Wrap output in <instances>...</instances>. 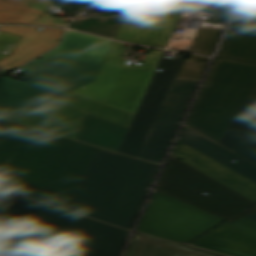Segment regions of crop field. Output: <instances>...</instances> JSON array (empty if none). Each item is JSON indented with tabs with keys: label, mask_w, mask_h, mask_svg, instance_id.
<instances>
[{
	"label": "crop field",
	"mask_w": 256,
	"mask_h": 256,
	"mask_svg": "<svg viewBox=\"0 0 256 256\" xmlns=\"http://www.w3.org/2000/svg\"><path fill=\"white\" fill-rule=\"evenodd\" d=\"M93 150L1 122L0 188L18 194L28 191L27 197L66 209Z\"/></svg>",
	"instance_id": "8a807250"
},
{
	"label": "crop field",
	"mask_w": 256,
	"mask_h": 256,
	"mask_svg": "<svg viewBox=\"0 0 256 256\" xmlns=\"http://www.w3.org/2000/svg\"><path fill=\"white\" fill-rule=\"evenodd\" d=\"M129 232L17 196L0 256H118Z\"/></svg>",
	"instance_id": "ac0d7876"
},
{
	"label": "crop field",
	"mask_w": 256,
	"mask_h": 256,
	"mask_svg": "<svg viewBox=\"0 0 256 256\" xmlns=\"http://www.w3.org/2000/svg\"><path fill=\"white\" fill-rule=\"evenodd\" d=\"M112 41L67 30L59 47L22 69L23 83L0 79V119L95 81Z\"/></svg>",
	"instance_id": "34b2d1b8"
},
{
	"label": "crop field",
	"mask_w": 256,
	"mask_h": 256,
	"mask_svg": "<svg viewBox=\"0 0 256 256\" xmlns=\"http://www.w3.org/2000/svg\"><path fill=\"white\" fill-rule=\"evenodd\" d=\"M157 167L104 150L95 152L67 209L130 229Z\"/></svg>",
	"instance_id": "412701ff"
},
{
	"label": "crop field",
	"mask_w": 256,
	"mask_h": 256,
	"mask_svg": "<svg viewBox=\"0 0 256 256\" xmlns=\"http://www.w3.org/2000/svg\"><path fill=\"white\" fill-rule=\"evenodd\" d=\"M256 84V64L216 58L185 125L218 142Z\"/></svg>",
	"instance_id": "f4fd0767"
},
{
	"label": "crop field",
	"mask_w": 256,
	"mask_h": 256,
	"mask_svg": "<svg viewBox=\"0 0 256 256\" xmlns=\"http://www.w3.org/2000/svg\"><path fill=\"white\" fill-rule=\"evenodd\" d=\"M126 48L113 42L95 82L70 93L135 114L164 51L153 50L142 67L126 66Z\"/></svg>",
	"instance_id": "dd49c442"
},
{
	"label": "crop field",
	"mask_w": 256,
	"mask_h": 256,
	"mask_svg": "<svg viewBox=\"0 0 256 256\" xmlns=\"http://www.w3.org/2000/svg\"><path fill=\"white\" fill-rule=\"evenodd\" d=\"M86 112L127 127L134 116L67 93L2 120L74 140Z\"/></svg>",
	"instance_id": "e52e79f7"
},
{
	"label": "crop field",
	"mask_w": 256,
	"mask_h": 256,
	"mask_svg": "<svg viewBox=\"0 0 256 256\" xmlns=\"http://www.w3.org/2000/svg\"><path fill=\"white\" fill-rule=\"evenodd\" d=\"M156 190L224 219L255 204L174 156Z\"/></svg>",
	"instance_id": "d8731c3e"
},
{
	"label": "crop field",
	"mask_w": 256,
	"mask_h": 256,
	"mask_svg": "<svg viewBox=\"0 0 256 256\" xmlns=\"http://www.w3.org/2000/svg\"><path fill=\"white\" fill-rule=\"evenodd\" d=\"M221 221L220 218L155 191L139 231L186 243Z\"/></svg>",
	"instance_id": "5a996713"
},
{
	"label": "crop field",
	"mask_w": 256,
	"mask_h": 256,
	"mask_svg": "<svg viewBox=\"0 0 256 256\" xmlns=\"http://www.w3.org/2000/svg\"><path fill=\"white\" fill-rule=\"evenodd\" d=\"M186 55L180 53L173 59L161 58L157 68L163 69V72H155L118 152L140 157Z\"/></svg>",
	"instance_id": "3316defc"
},
{
	"label": "crop field",
	"mask_w": 256,
	"mask_h": 256,
	"mask_svg": "<svg viewBox=\"0 0 256 256\" xmlns=\"http://www.w3.org/2000/svg\"><path fill=\"white\" fill-rule=\"evenodd\" d=\"M197 84L176 80L140 158L162 162Z\"/></svg>",
	"instance_id": "28ad6ade"
},
{
	"label": "crop field",
	"mask_w": 256,
	"mask_h": 256,
	"mask_svg": "<svg viewBox=\"0 0 256 256\" xmlns=\"http://www.w3.org/2000/svg\"><path fill=\"white\" fill-rule=\"evenodd\" d=\"M184 7L152 10L151 16L122 23L115 38L165 48Z\"/></svg>",
	"instance_id": "d1516ede"
},
{
	"label": "crop field",
	"mask_w": 256,
	"mask_h": 256,
	"mask_svg": "<svg viewBox=\"0 0 256 256\" xmlns=\"http://www.w3.org/2000/svg\"><path fill=\"white\" fill-rule=\"evenodd\" d=\"M217 57L256 62V0H243Z\"/></svg>",
	"instance_id": "22f410ed"
},
{
	"label": "crop field",
	"mask_w": 256,
	"mask_h": 256,
	"mask_svg": "<svg viewBox=\"0 0 256 256\" xmlns=\"http://www.w3.org/2000/svg\"><path fill=\"white\" fill-rule=\"evenodd\" d=\"M172 155L256 203V183L178 139Z\"/></svg>",
	"instance_id": "cbeb9de0"
},
{
	"label": "crop field",
	"mask_w": 256,
	"mask_h": 256,
	"mask_svg": "<svg viewBox=\"0 0 256 256\" xmlns=\"http://www.w3.org/2000/svg\"><path fill=\"white\" fill-rule=\"evenodd\" d=\"M37 30L34 27L2 26L0 31L23 37L13 54L0 60V78L7 74L4 70L19 67L56 47L64 31L51 28H45L42 32Z\"/></svg>",
	"instance_id": "5142ce71"
},
{
	"label": "crop field",
	"mask_w": 256,
	"mask_h": 256,
	"mask_svg": "<svg viewBox=\"0 0 256 256\" xmlns=\"http://www.w3.org/2000/svg\"><path fill=\"white\" fill-rule=\"evenodd\" d=\"M189 244L232 256H256V238L234 229L227 221Z\"/></svg>",
	"instance_id": "d9b57169"
},
{
	"label": "crop field",
	"mask_w": 256,
	"mask_h": 256,
	"mask_svg": "<svg viewBox=\"0 0 256 256\" xmlns=\"http://www.w3.org/2000/svg\"><path fill=\"white\" fill-rule=\"evenodd\" d=\"M50 0H0V23H25L66 27L69 18L47 15Z\"/></svg>",
	"instance_id": "733c2abd"
},
{
	"label": "crop field",
	"mask_w": 256,
	"mask_h": 256,
	"mask_svg": "<svg viewBox=\"0 0 256 256\" xmlns=\"http://www.w3.org/2000/svg\"><path fill=\"white\" fill-rule=\"evenodd\" d=\"M179 139L256 182V165L184 127ZM237 162L232 163L230 161Z\"/></svg>",
	"instance_id": "4a817a6b"
},
{
	"label": "crop field",
	"mask_w": 256,
	"mask_h": 256,
	"mask_svg": "<svg viewBox=\"0 0 256 256\" xmlns=\"http://www.w3.org/2000/svg\"><path fill=\"white\" fill-rule=\"evenodd\" d=\"M127 127L86 114L75 140L117 150Z\"/></svg>",
	"instance_id": "bc2a9ffb"
},
{
	"label": "crop field",
	"mask_w": 256,
	"mask_h": 256,
	"mask_svg": "<svg viewBox=\"0 0 256 256\" xmlns=\"http://www.w3.org/2000/svg\"><path fill=\"white\" fill-rule=\"evenodd\" d=\"M125 256H215V255L136 233Z\"/></svg>",
	"instance_id": "214f88e0"
},
{
	"label": "crop field",
	"mask_w": 256,
	"mask_h": 256,
	"mask_svg": "<svg viewBox=\"0 0 256 256\" xmlns=\"http://www.w3.org/2000/svg\"><path fill=\"white\" fill-rule=\"evenodd\" d=\"M256 124V97H247L218 143L235 150Z\"/></svg>",
	"instance_id": "92a150f3"
},
{
	"label": "crop field",
	"mask_w": 256,
	"mask_h": 256,
	"mask_svg": "<svg viewBox=\"0 0 256 256\" xmlns=\"http://www.w3.org/2000/svg\"><path fill=\"white\" fill-rule=\"evenodd\" d=\"M120 25L121 23L96 18H79L72 22L70 28L114 38Z\"/></svg>",
	"instance_id": "dafd665d"
},
{
	"label": "crop field",
	"mask_w": 256,
	"mask_h": 256,
	"mask_svg": "<svg viewBox=\"0 0 256 256\" xmlns=\"http://www.w3.org/2000/svg\"><path fill=\"white\" fill-rule=\"evenodd\" d=\"M222 29L199 28L189 51L210 55Z\"/></svg>",
	"instance_id": "00972430"
},
{
	"label": "crop field",
	"mask_w": 256,
	"mask_h": 256,
	"mask_svg": "<svg viewBox=\"0 0 256 256\" xmlns=\"http://www.w3.org/2000/svg\"><path fill=\"white\" fill-rule=\"evenodd\" d=\"M234 2L235 0H215L213 8L205 11L215 13L212 19H206L204 26L224 27Z\"/></svg>",
	"instance_id": "a9b5d70f"
},
{
	"label": "crop field",
	"mask_w": 256,
	"mask_h": 256,
	"mask_svg": "<svg viewBox=\"0 0 256 256\" xmlns=\"http://www.w3.org/2000/svg\"><path fill=\"white\" fill-rule=\"evenodd\" d=\"M208 58L191 55L187 59L177 79L197 81L200 79Z\"/></svg>",
	"instance_id": "4177f3b9"
},
{
	"label": "crop field",
	"mask_w": 256,
	"mask_h": 256,
	"mask_svg": "<svg viewBox=\"0 0 256 256\" xmlns=\"http://www.w3.org/2000/svg\"><path fill=\"white\" fill-rule=\"evenodd\" d=\"M65 11L79 8L81 12L106 5L113 0H52ZM61 8V9H62Z\"/></svg>",
	"instance_id": "730fd06b"
},
{
	"label": "crop field",
	"mask_w": 256,
	"mask_h": 256,
	"mask_svg": "<svg viewBox=\"0 0 256 256\" xmlns=\"http://www.w3.org/2000/svg\"><path fill=\"white\" fill-rule=\"evenodd\" d=\"M234 153L256 164V125L236 148Z\"/></svg>",
	"instance_id": "eef30255"
},
{
	"label": "crop field",
	"mask_w": 256,
	"mask_h": 256,
	"mask_svg": "<svg viewBox=\"0 0 256 256\" xmlns=\"http://www.w3.org/2000/svg\"><path fill=\"white\" fill-rule=\"evenodd\" d=\"M21 37L0 32V59L12 54Z\"/></svg>",
	"instance_id": "ae1a2a85"
},
{
	"label": "crop field",
	"mask_w": 256,
	"mask_h": 256,
	"mask_svg": "<svg viewBox=\"0 0 256 256\" xmlns=\"http://www.w3.org/2000/svg\"><path fill=\"white\" fill-rule=\"evenodd\" d=\"M177 28H180V26H177L176 29ZM194 37L195 36H193V35L177 34L174 31L167 48L188 51Z\"/></svg>",
	"instance_id": "d3111659"
},
{
	"label": "crop field",
	"mask_w": 256,
	"mask_h": 256,
	"mask_svg": "<svg viewBox=\"0 0 256 256\" xmlns=\"http://www.w3.org/2000/svg\"><path fill=\"white\" fill-rule=\"evenodd\" d=\"M16 195L0 190V228ZM4 224V223H3Z\"/></svg>",
	"instance_id": "750c4746"
},
{
	"label": "crop field",
	"mask_w": 256,
	"mask_h": 256,
	"mask_svg": "<svg viewBox=\"0 0 256 256\" xmlns=\"http://www.w3.org/2000/svg\"><path fill=\"white\" fill-rule=\"evenodd\" d=\"M234 228L256 237V222L245 218L233 223Z\"/></svg>",
	"instance_id": "bd1437ed"
},
{
	"label": "crop field",
	"mask_w": 256,
	"mask_h": 256,
	"mask_svg": "<svg viewBox=\"0 0 256 256\" xmlns=\"http://www.w3.org/2000/svg\"><path fill=\"white\" fill-rule=\"evenodd\" d=\"M253 214H256V206L251 208V209H249V210H246V211H244V212H242V213H240L238 215H236L235 217L231 218L228 221L233 223V222L238 221L240 219H243L245 217H249V216H251Z\"/></svg>",
	"instance_id": "1d83c4d3"
},
{
	"label": "crop field",
	"mask_w": 256,
	"mask_h": 256,
	"mask_svg": "<svg viewBox=\"0 0 256 256\" xmlns=\"http://www.w3.org/2000/svg\"><path fill=\"white\" fill-rule=\"evenodd\" d=\"M99 19H105V20H113L116 22H126V21H130V18L128 15L125 16H118V17H111V18H99Z\"/></svg>",
	"instance_id": "120bbe31"
},
{
	"label": "crop field",
	"mask_w": 256,
	"mask_h": 256,
	"mask_svg": "<svg viewBox=\"0 0 256 256\" xmlns=\"http://www.w3.org/2000/svg\"><path fill=\"white\" fill-rule=\"evenodd\" d=\"M249 96H256V85L255 87L253 88L252 92L250 93Z\"/></svg>",
	"instance_id": "d32e631a"
},
{
	"label": "crop field",
	"mask_w": 256,
	"mask_h": 256,
	"mask_svg": "<svg viewBox=\"0 0 256 256\" xmlns=\"http://www.w3.org/2000/svg\"><path fill=\"white\" fill-rule=\"evenodd\" d=\"M250 219H252V220H254V221H256V215H253V216H251V217H249Z\"/></svg>",
	"instance_id": "5866460e"
}]
</instances>
